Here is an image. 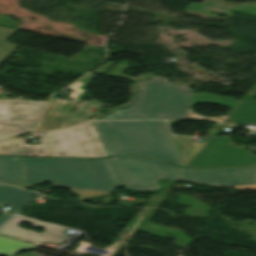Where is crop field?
I'll return each mask as SVG.
<instances>
[{"mask_svg": "<svg viewBox=\"0 0 256 256\" xmlns=\"http://www.w3.org/2000/svg\"><path fill=\"white\" fill-rule=\"evenodd\" d=\"M136 99L125 110H116L103 119H184L193 92L190 86L177 85L153 75L136 83Z\"/></svg>", "mask_w": 256, "mask_h": 256, "instance_id": "crop-field-4", "label": "crop field"}, {"mask_svg": "<svg viewBox=\"0 0 256 256\" xmlns=\"http://www.w3.org/2000/svg\"><path fill=\"white\" fill-rule=\"evenodd\" d=\"M33 194L31 191L0 184V208L7 204L11 207L10 210L17 211Z\"/></svg>", "mask_w": 256, "mask_h": 256, "instance_id": "crop-field-9", "label": "crop field"}, {"mask_svg": "<svg viewBox=\"0 0 256 256\" xmlns=\"http://www.w3.org/2000/svg\"><path fill=\"white\" fill-rule=\"evenodd\" d=\"M179 171L182 181L194 184L256 190V165L221 170L179 168Z\"/></svg>", "mask_w": 256, "mask_h": 256, "instance_id": "crop-field-6", "label": "crop field"}, {"mask_svg": "<svg viewBox=\"0 0 256 256\" xmlns=\"http://www.w3.org/2000/svg\"><path fill=\"white\" fill-rule=\"evenodd\" d=\"M36 247L38 246L0 236V255L1 256H14L15 253L17 252L29 251Z\"/></svg>", "mask_w": 256, "mask_h": 256, "instance_id": "crop-field-11", "label": "crop field"}, {"mask_svg": "<svg viewBox=\"0 0 256 256\" xmlns=\"http://www.w3.org/2000/svg\"><path fill=\"white\" fill-rule=\"evenodd\" d=\"M0 182L20 184L19 158L0 156Z\"/></svg>", "mask_w": 256, "mask_h": 256, "instance_id": "crop-field-10", "label": "crop field"}, {"mask_svg": "<svg viewBox=\"0 0 256 256\" xmlns=\"http://www.w3.org/2000/svg\"><path fill=\"white\" fill-rule=\"evenodd\" d=\"M46 102L0 99V140L33 131Z\"/></svg>", "mask_w": 256, "mask_h": 256, "instance_id": "crop-field-7", "label": "crop field"}, {"mask_svg": "<svg viewBox=\"0 0 256 256\" xmlns=\"http://www.w3.org/2000/svg\"><path fill=\"white\" fill-rule=\"evenodd\" d=\"M22 222L32 224L34 227L46 229L43 233H34L32 230L17 227ZM64 228L15 216L0 228V235L15 239L17 236L38 240L42 242L62 243L68 234L61 233Z\"/></svg>", "mask_w": 256, "mask_h": 256, "instance_id": "crop-field-8", "label": "crop field"}, {"mask_svg": "<svg viewBox=\"0 0 256 256\" xmlns=\"http://www.w3.org/2000/svg\"><path fill=\"white\" fill-rule=\"evenodd\" d=\"M40 145H26L25 137L0 143V154L40 157H106L108 153L94 122L45 133Z\"/></svg>", "mask_w": 256, "mask_h": 256, "instance_id": "crop-field-3", "label": "crop field"}, {"mask_svg": "<svg viewBox=\"0 0 256 256\" xmlns=\"http://www.w3.org/2000/svg\"><path fill=\"white\" fill-rule=\"evenodd\" d=\"M21 184L64 187L79 201L107 195L121 186L109 158L99 160L20 158Z\"/></svg>", "mask_w": 256, "mask_h": 256, "instance_id": "crop-field-1", "label": "crop field"}, {"mask_svg": "<svg viewBox=\"0 0 256 256\" xmlns=\"http://www.w3.org/2000/svg\"><path fill=\"white\" fill-rule=\"evenodd\" d=\"M16 30L0 27V64L18 47L5 42Z\"/></svg>", "mask_w": 256, "mask_h": 256, "instance_id": "crop-field-12", "label": "crop field"}, {"mask_svg": "<svg viewBox=\"0 0 256 256\" xmlns=\"http://www.w3.org/2000/svg\"><path fill=\"white\" fill-rule=\"evenodd\" d=\"M125 189L157 190L160 178L180 180L177 167L137 155L110 158Z\"/></svg>", "mask_w": 256, "mask_h": 256, "instance_id": "crop-field-5", "label": "crop field"}, {"mask_svg": "<svg viewBox=\"0 0 256 256\" xmlns=\"http://www.w3.org/2000/svg\"><path fill=\"white\" fill-rule=\"evenodd\" d=\"M110 156L137 153L185 167L165 121H95Z\"/></svg>", "mask_w": 256, "mask_h": 256, "instance_id": "crop-field-2", "label": "crop field"}, {"mask_svg": "<svg viewBox=\"0 0 256 256\" xmlns=\"http://www.w3.org/2000/svg\"><path fill=\"white\" fill-rule=\"evenodd\" d=\"M0 215H2V214H0ZM7 218H9V216L3 215V216L0 218V224H1L2 222H4Z\"/></svg>", "mask_w": 256, "mask_h": 256, "instance_id": "crop-field-13", "label": "crop field"}]
</instances>
